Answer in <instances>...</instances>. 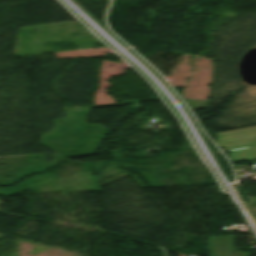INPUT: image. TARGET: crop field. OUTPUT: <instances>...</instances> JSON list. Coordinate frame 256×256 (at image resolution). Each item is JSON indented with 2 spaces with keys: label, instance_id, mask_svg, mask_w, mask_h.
I'll use <instances>...</instances> for the list:
<instances>
[{
  "label": "crop field",
  "instance_id": "8a807250",
  "mask_svg": "<svg viewBox=\"0 0 256 256\" xmlns=\"http://www.w3.org/2000/svg\"><path fill=\"white\" fill-rule=\"evenodd\" d=\"M210 256H248L234 250V236L208 237Z\"/></svg>",
  "mask_w": 256,
  "mask_h": 256
}]
</instances>
